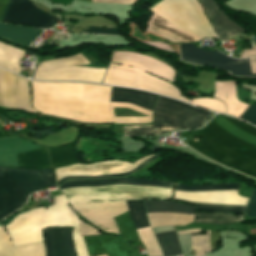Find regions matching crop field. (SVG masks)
<instances>
[{"instance_id":"30","label":"crop field","mask_w":256,"mask_h":256,"mask_svg":"<svg viewBox=\"0 0 256 256\" xmlns=\"http://www.w3.org/2000/svg\"><path fill=\"white\" fill-rule=\"evenodd\" d=\"M164 256L182 253L176 236V232L155 234Z\"/></svg>"},{"instance_id":"21","label":"crop field","mask_w":256,"mask_h":256,"mask_svg":"<svg viewBox=\"0 0 256 256\" xmlns=\"http://www.w3.org/2000/svg\"><path fill=\"white\" fill-rule=\"evenodd\" d=\"M147 31L156 33L174 42L200 41V39L173 26L169 22L156 15H153Z\"/></svg>"},{"instance_id":"29","label":"crop field","mask_w":256,"mask_h":256,"mask_svg":"<svg viewBox=\"0 0 256 256\" xmlns=\"http://www.w3.org/2000/svg\"><path fill=\"white\" fill-rule=\"evenodd\" d=\"M112 107H127L136 111H139L143 114L149 115V117H114ZM111 115L114 123H145L152 122V112L146 109H143L139 106L130 104V103H119L111 102L110 105Z\"/></svg>"},{"instance_id":"8","label":"crop field","mask_w":256,"mask_h":256,"mask_svg":"<svg viewBox=\"0 0 256 256\" xmlns=\"http://www.w3.org/2000/svg\"><path fill=\"white\" fill-rule=\"evenodd\" d=\"M150 11L198 37L215 36L197 0H163Z\"/></svg>"},{"instance_id":"9","label":"crop field","mask_w":256,"mask_h":256,"mask_svg":"<svg viewBox=\"0 0 256 256\" xmlns=\"http://www.w3.org/2000/svg\"><path fill=\"white\" fill-rule=\"evenodd\" d=\"M88 63L92 62L81 53L71 57L44 61L37 67L33 79L101 83L106 69L74 67Z\"/></svg>"},{"instance_id":"34","label":"crop field","mask_w":256,"mask_h":256,"mask_svg":"<svg viewBox=\"0 0 256 256\" xmlns=\"http://www.w3.org/2000/svg\"><path fill=\"white\" fill-rule=\"evenodd\" d=\"M82 32L86 33H102V34H115L118 35V29H112V28H106V29H101V28H96V27H87L84 29Z\"/></svg>"},{"instance_id":"24","label":"crop field","mask_w":256,"mask_h":256,"mask_svg":"<svg viewBox=\"0 0 256 256\" xmlns=\"http://www.w3.org/2000/svg\"><path fill=\"white\" fill-rule=\"evenodd\" d=\"M19 168L51 169L47 151L40 150L17 155Z\"/></svg>"},{"instance_id":"40","label":"crop field","mask_w":256,"mask_h":256,"mask_svg":"<svg viewBox=\"0 0 256 256\" xmlns=\"http://www.w3.org/2000/svg\"><path fill=\"white\" fill-rule=\"evenodd\" d=\"M252 73H256V57L250 58Z\"/></svg>"},{"instance_id":"23","label":"crop field","mask_w":256,"mask_h":256,"mask_svg":"<svg viewBox=\"0 0 256 256\" xmlns=\"http://www.w3.org/2000/svg\"><path fill=\"white\" fill-rule=\"evenodd\" d=\"M41 31L0 23V36L27 47ZM0 37V38H1ZM2 38V39H3Z\"/></svg>"},{"instance_id":"22","label":"crop field","mask_w":256,"mask_h":256,"mask_svg":"<svg viewBox=\"0 0 256 256\" xmlns=\"http://www.w3.org/2000/svg\"><path fill=\"white\" fill-rule=\"evenodd\" d=\"M156 98L152 93L112 87L111 101L130 102L152 111Z\"/></svg>"},{"instance_id":"20","label":"crop field","mask_w":256,"mask_h":256,"mask_svg":"<svg viewBox=\"0 0 256 256\" xmlns=\"http://www.w3.org/2000/svg\"><path fill=\"white\" fill-rule=\"evenodd\" d=\"M0 256H45L44 244L35 243L13 248L10 236L0 226Z\"/></svg>"},{"instance_id":"14","label":"crop field","mask_w":256,"mask_h":256,"mask_svg":"<svg viewBox=\"0 0 256 256\" xmlns=\"http://www.w3.org/2000/svg\"><path fill=\"white\" fill-rule=\"evenodd\" d=\"M41 12L29 0H9L2 21L41 28L54 25L55 17Z\"/></svg>"},{"instance_id":"35","label":"crop field","mask_w":256,"mask_h":256,"mask_svg":"<svg viewBox=\"0 0 256 256\" xmlns=\"http://www.w3.org/2000/svg\"><path fill=\"white\" fill-rule=\"evenodd\" d=\"M78 221H79V229H80L81 236L100 234L96 229H94L91 226L85 224L81 220L78 219Z\"/></svg>"},{"instance_id":"41","label":"crop field","mask_w":256,"mask_h":256,"mask_svg":"<svg viewBox=\"0 0 256 256\" xmlns=\"http://www.w3.org/2000/svg\"><path fill=\"white\" fill-rule=\"evenodd\" d=\"M104 256H106V255H104Z\"/></svg>"},{"instance_id":"33","label":"crop field","mask_w":256,"mask_h":256,"mask_svg":"<svg viewBox=\"0 0 256 256\" xmlns=\"http://www.w3.org/2000/svg\"><path fill=\"white\" fill-rule=\"evenodd\" d=\"M240 119L247 120L256 125V105L249 106Z\"/></svg>"},{"instance_id":"28","label":"crop field","mask_w":256,"mask_h":256,"mask_svg":"<svg viewBox=\"0 0 256 256\" xmlns=\"http://www.w3.org/2000/svg\"><path fill=\"white\" fill-rule=\"evenodd\" d=\"M48 151L50 153L52 168L79 162L76 156L75 149L71 147L48 149Z\"/></svg>"},{"instance_id":"17","label":"crop field","mask_w":256,"mask_h":256,"mask_svg":"<svg viewBox=\"0 0 256 256\" xmlns=\"http://www.w3.org/2000/svg\"><path fill=\"white\" fill-rule=\"evenodd\" d=\"M71 232L72 229H47L43 231L47 256H76Z\"/></svg>"},{"instance_id":"16","label":"crop field","mask_w":256,"mask_h":256,"mask_svg":"<svg viewBox=\"0 0 256 256\" xmlns=\"http://www.w3.org/2000/svg\"><path fill=\"white\" fill-rule=\"evenodd\" d=\"M135 228L149 226L146 219L143 201H126ZM142 243L145 245L148 256H162L160 247L150 227L137 230Z\"/></svg>"},{"instance_id":"19","label":"crop field","mask_w":256,"mask_h":256,"mask_svg":"<svg viewBox=\"0 0 256 256\" xmlns=\"http://www.w3.org/2000/svg\"><path fill=\"white\" fill-rule=\"evenodd\" d=\"M38 148L17 137L0 138V166L17 167L16 154Z\"/></svg>"},{"instance_id":"27","label":"crop field","mask_w":256,"mask_h":256,"mask_svg":"<svg viewBox=\"0 0 256 256\" xmlns=\"http://www.w3.org/2000/svg\"><path fill=\"white\" fill-rule=\"evenodd\" d=\"M243 221V215H223L219 213H198L195 212L194 222L209 224H232Z\"/></svg>"},{"instance_id":"31","label":"crop field","mask_w":256,"mask_h":256,"mask_svg":"<svg viewBox=\"0 0 256 256\" xmlns=\"http://www.w3.org/2000/svg\"><path fill=\"white\" fill-rule=\"evenodd\" d=\"M207 235H191V251L195 250V256H205V252L211 251L209 231Z\"/></svg>"},{"instance_id":"39","label":"crop field","mask_w":256,"mask_h":256,"mask_svg":"<svg viewBox=\"0 0 256 256\" xmlns=\"http://www.w3.org/2000/svg\"><path fill=\"white\" fill-rule=\"evenodd\" d=\"M200 232V229L177 231L178 235Z\"/></svg>"},{"instance_id":"13","label":"crop field","mask_w":256,"mask_h":256,"mask_svg":"<svg viewBox=\"0 0 256 256\" xmlns=\"http://www.w3.org/2000/svg\"><path fill=\"white\" fill-rule=\"evenodd\" d=\"M148 212H179L194 215L193 205L172 201H145ZM179 213H149L147 214L151 227L162 225H185L193 221L192 215Z\"/></svg>"},{"instance_id":"18","label":"crop field","mask_w":256,"mask_h":256,"mask_svg":"<svg viewBox=\"0 0 256 256\" xmlns=\"http://www.w3.org/2000/svg\"><path fill=\"white\" fill-rule=\"evenodd\" d=\"M117 238V237H116ZM111 235L84 237L88 255L128 256L123 244Z\"/></svg>"},{"instance_id":"12","label":"crop field","mask_w":256,"mask_h":256,"mask_svg":"<svg viewBox=\"0 0 256 256\" xmlns=\"http://www.w3.org/2000/svg\"><path fill=\"white\" fill-rule=\"evenodd\" d=\"M0 106L36 112L31 108L28 80L0 70Z\"/></svg>"},{"instance_id":"37","label":"crop field","mask_w":256,"mask_h":256,"mask_svg":"<svg viewBox=\"0 0 256 256\" xmlns=\"http://www.w3.org/2000/svg\"><path fill=\"white\" fill-rule=\"evenodd\" d=\"M255 49L249 50V51H243L241 58H246L252 55H256V46H254Z\"/></svg>"},{"instance_id":"38","label":"crop field","mask_w":256,"mask_h":256,"mask_svg":"<svg viewBox=\"0 0 256 256\" xmlns=\"http://www.w3.org/2000/svg\"><path fill=\"white\" fill-rule=\"evenodd\" d=\"M7 2H8V0H0V20L2 18L4 10L6 8Z\"/></svg>"},{"instance_id":"15","label":"crop field","mask_w":256,"mask_h":256,"mask_svg":"<svg viewBox=\"0 0 256 256\" xmlns=\"http://www.w3.org/2000/svg\"><path fill=\"white\" fill-rule=\"evenodd\" d=\"M205 7L206 13L213 22V30L222 40L234 39L238 42L246 29L226 16L213 0H199Z\"/></svg>"},{"instance_id":"3","label":"crop field","mask_w":256,"mask_h":256,"mask_svg":"<svg viewBox=\"0 0 256 256\" xmlns=\"http://www.w3.org/2000/svg\"><path fill=\"white\" fill-rule=\"evenodd\" d=\"M31 84L32 105L42 113L80 123L113 122L109 110L111 87L33 81Z\"/></svg>"},{"instance_id":"1","label":"crop field","mask_w":256,"mask_h":256,"mask_svg":"<svg viewBox=\"0 0 256 256\" xmlns=\"http://www.w3.org/2000/svg\"><path fill=\"white\" fill-rule=\"evenodd\" d=\"M109 185L153 186L173 189L174 183L139 178H113L64 182L59 189ZM136 186H109L65 190L72 208L98 228L119 234L114 217L127 211L125 200L172 199L173 190Z\"/></svg>"},{"instance_id":"36","label":"crop field","mask_w":256,"mask_h":256,"mask_svg":"<svg viewBox=\"0 0 256 256\" xmlns=\"http://www.w3.org/2000/svg\"><path fill=\"white\" fill-rule=\"evenodd\" d=\"M142 43L154 46L158 49L173 52V50L167 44H162L161 42H142Z\"/></svg>"},{"instance_id":"32","label":"crop field","mask_w":256,"mask_h":256,"mask_svg":"<svg viewBox=\"0 0 256 256\" xmlns=\"http://www.w3.org/2000/svg\"><path fill=\"white\" fill-rule=\"evenodd\" d=\"M244 213L256 219V190H252V194L246 204Z\"/></svg>"},{"instance_id":"11","label":"crop field","mask_w":256,"mask_h":256,"mask_svg":"<svg viewBox=\"0 0 256 256\" xmlns=\"http://www.w3.org/2000/svg\"><path fill=\"white\" fill-rule=\"evenodd\" d=\"M181 59L199 65H208L218 69L227 70L231 76L236 77H254L251 74L248 59L238 61L233 60L219 52L196 48L192 43L180 44Z\"/></svg>"},{"instance_id":"26","label":"crop field","mask_w":256,"mask_h":256,"mask_svg":"<svg viewBox=\"0 0 256 256\" xmlns=\"http://www.w3.org/2000/svg\"><path fill=\"white\" fill-rule=\"evenodd\" d=\"M24 52L0 42V67L20 73L18 61Z\"/></svg>"},{"instance_id":"2","label":"crop field","mask_w":256,"mask_h":256,"mask_svg":"<svg viewBox=\"0 0 256 256\" xmlns=\"http://www.w3.org/2000/svg\"><path fill=\"white\" fill-rule=\"evenodd\" d=\"M210 160L256 178V128L217 115L186 143Z\"/></svg>"},{"instance_id":"7","label":"crop field","mask_w":256,"mask_h":256,"mask_svg":"<svg viewBox=\"0 0 256 256\" xmlns=\"http://www.w3.org/2000/svg\"><path fill=\"white\" fill-rule=\"evenodd\" d=\"M240 184H224V185H210V186H193V185H181L177 184L175 191L182 192H211V191H223L240 189ZM237 191H224V192H212V193H181L175 192L174 197L223 205H241L245 206L247 198L237 196ZM177 201L188 202L196 204V210L199 211H212V212H233L243 214L244 207L241 206H222L207 203L189 202L179 199Z\"/></svg>"},{"instance_id":"6","label":"crop field","mask_w":256,"mask_h":256,"mask_svg":"<svg viewBox=\"0 0 256 256\" xmlns=\"http://www.w3.org/2000/svg\"><path fill=\"white\" fill-rule=\"evenodd\" d=\"M210 112L197 109L173 99L159 96L153 114V125L126 126V135H152L178 128L197 127Z\"/></svg>"},{"instance_id":"5","label":"crop field","mask_w":256,"mask_h":256,"mask_svg":"<svg viewBox=\"0 0 256 256\" xmlns=\"http://www.w3.org/2000/svg\"><path fill=\"white\" fill-rule=\"evenodd\" d=\"M52 185H55L52 170L0 167V219L21 207L32 191Z\"/></svg>"},{"instance_id":"25","label":"crop field","mask_w":256,"mask_h":256,"mask_svg":"<svg viewBox=\"0 0 256 256\" xmlns=\"http://www.w3.org/2000/svg\"><path fill=\"white\" fill-rule=\"evenodd\" d=\"M115 219L121 234L122 241L128 251H130L132 256H140L134 247L128 245L127 243L129 240H140L135 231L133 222L130 221L128 211L115 217Z\"/></svg>"},{"instance_id":"10","label":"crop field","mask_w":256,"mask_h":256,"mask_svg":"<svg viewBox=\"0 0 256 256\" xmlns=\"http://www.w3.org/2000/svg\"><path fill=\"white\" fill-rule=\"evenodd\" d=\"M151 156V155H150ZM157 154L151 156L150 158L146 159L143 158L133 164L122 162L119 160H107L99 163H94L90 165H84V164H77L72 165L68 167L58 168L55 170V177L56 181L59 179H62L66 176H74V175H107V174H113V173H121V172H127L131 169L133 170L122 173V174H113V175H107V176H74V177H66L60 181L57 182L58 187L63 181L71 180V179H98V178H107V177H120V176H126L133 174L138 171L139 168L156 158ZM149 157V156H148Z\"/></svg>"},{"instance_id":"4","label":"crop field","mask_w":256,"mask_h":256,"mask_svg":"<svg viewBox=\"0 0 256 256\" xmlns=\"http://www.w3.org/2000/svg\"><path fill=\"white\" fill-rule=\"evenodd\" d=\"M54 199L55 205L46 208L41 207L16 216L6 226L13 245L18 246L26 243L43 242L41 231L47 227L62 226L73 227V239L78 256H88L83 238L80 237L77 215L67 205L64 195Z\"/></svg>"}]
</instances>
